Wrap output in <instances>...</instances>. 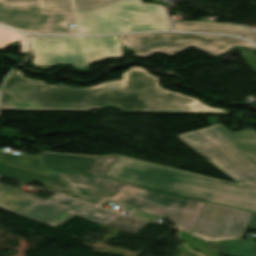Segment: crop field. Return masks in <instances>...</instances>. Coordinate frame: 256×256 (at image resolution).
<instances>
[{"instance_id": "crop-field-6", "label": "crop field", "mask_w": 256, "mask_h": 256, "mask_svg": "<svg viewBox=\"0 0 256 256\" xmlns=\"http://www.w3.org/2000/svg\"><path fill=\"white\" fill-rule=\"evenodd\" d=\"M164 5L118 0L92 11H76L80 34L171 30Z\"/></svg>"}, {"instance_id": "crop-field-14", "label": "crop field", "mask_w": 256, "mask_h": 256, "mask_svg": "<svg viewBox=\"0 0 256 256\" xmlns=\"http://www.w3.org/2000/svg\"><path fill=\"white\" fill-rule=\"evenodd\" d=\"M248 227L256 229V213H254ZM213 245L220 254L232 256H256V247L249 245L243 240L218 242L213 243Z\"/></svg>"}, {"instance_id": "crop-field-18", "label": "crop field", "mask_w": 256, "mask_h": 256, "mask_svg": "<svg viewBox=\"0 0 256 256\" xmlns=\"http://www.w3.org/2000/svg\"><path fill=\"white\" fill-rule=\"evenodd\" d=\"M116 0H75L76 10H91Z\"/></svg>"}, {"instance_id": "crop-field-10", "label": "crop field", "mask_w": 256, "mask_h": 256, "mask_svg": "<svg viewBox=\"0 0 256 256\" xmlns=\"http://www.w3.org/2000/svg\"><path fill=\"white\" fill-rule=\"evenodd\" d=\"M252 214L206 202L192 234L207 241L242 238Z\"/></svg>"}, {"instance_id": "crop-field-13", "label": "crop field", "mask_w": 256, "mask_h": 256, "mask_svg": "<svg viewBox=\"0 0 256 256\" xmlns=\"http://www.w3.org/2000/svg\"><path fill=\"white\" fill-rule=\"evenodd\" d=\"M175 27L177 31L210 32L233 35H241L251 32L250 29L243 26L228 25L223 23L175 22Z\"/></svg>"}, {"instance_id": "crop-field-19", "label": "crop field", "mask_w": 256, "mask_h": 256, "mask_svg": "<svg viewBox=\"0 0 256 256\" xmlns=\"http://www.w3.org/2000/svg\"><path fill=\"white\" fill-rule=\"evenodd\" d=\"M47 11L73 10L72 0H45Z\"/></svg>"}, {"instance_id": "crop-field-20", "label": "crop field", "mask_w": 256, "mask_h": 256, "mask_svg": "<svg viewBox=\"0 0 256 256\" xmlns=\"http://www.w3.org/2000/svg\"><path fill=\"white\" fill-rule=\"evenodd\" d=\"M50 201L56 202L58 204H61L63 206H71L72 204L76 203L78 200H74L65 196H61L56 194L55 196H53L52 198L48 199Z\"/></svg>"}, {"instance_id": "crop-field-16", "label": "crop field", "mask_w": 256, "mask_h": 256, "mask_svg": "<svg viewBox=\"0 0 256 256\" xmlns=\"http://www.w3.org/2000/svg\"><path fill=\"white\" fill-rule=\"evenodd\" d=\"M13 41H17L21 44V53L28 51L25 34L0 26V48L6 47L8 43Z\"/></svg>"}, {"instance_id": "crop-field-11", "label": "crop field", "mask_w": 256, "mask_h": 256, "mask_svg": "<svg viewBox=\"0 0 256 256\" xmlns=\"http://www.w3.org/2000/svg\"><path fill=\"white\" fill-rule=\"evenodd\" d=\"M39 159L37 155L22 157L0 151V175L27 184L38 182L48 190L74 197L56 171L40 167Z\"/></svg>"}, {"instance_id": "crop-field-15", "label": "crop field", "mask_w": 256, "mask_h": 256, "mask_svg": "<svg viewBox=\"0 0 256 256\" xmlns=\"http://www.w3.org/2000/svg\"><path fill=\"white\" fill-rule=\"evenodd\" d=\"M147 223L148 221L146 220L119 215L107 224H105V226L116 228L125 233H134L137 229L141 228Z\"/></svg>"}, {"instance_id": "crop-field-2", "label": "crop field", "mask_w": 256, "mask_h": 256, "mask_svg": "<svg viewBox=\"0 0 256 256\" xmlns=\"http://www.w3.org/2000/svg\"><path fill=\"white\" fill-rule=\"evenodd\" d=\"M58 175L79 199L98 206L109 199L168 218L190 233L205 203L113 179H101L72 172H58Z\"/></svg>"}, {"instance_id": "crop-field-8", "label": "crop field", "mask_w": 256, "mask_h": 256, "mask_svg": "<svg viewBox=\"0 0 256 256\" xmlns=\"http://www.w3.org/2000/svg\"><path fill=\"white\" fill-rule=\"evenodd\" d=\"M0 207L55 227L74 215L102 224L118 215L81 201L66 208L3 185H0Z\"/></svg>"}, {"instance_id": "crop-field-22", "label": "crop field", "mask_w": 256, "mask_h": 256, "mask_svg": "<svg viewBox=\"0 0 256 256\" xmlns=\"http://www.w3.org/2000/svg\"><path fill=\"white\" fill-rule=\"evenodd\" d=\"M244 38L250 40L251 42L256 44V33L248 36H244Z\"/></svg>"}, {"instance_id": "crop-field-1", "label": "crop field", "mask_w": 256, "mask_h": 256, "mask_svg": "<svg viewBox=\"0 0 256 256\" xmlns=\"http://www.w3.org/2000/svg\"><path fill=\"white\" fill-rule=\"evenodd\" d=\"M107 107L124 112L229 114L160 88L158 78L140 67L125 72L123 80L84 89L48 85L17 71L6 81L1 110L88 111Z\"/></svg>"}, {"instance_id": "crop-field-9", "label": "crop field", "mask_w": 256, "mask_h": 256, "mask_svg": "<svg viewBox=\"0 0 256 256\" xmlns=\"http://www.w3.org/2000/svg\"><path fill=\"white\" fill-rule=\"evenodd\" d=\"M0 23L30 33L76 34L73 11L46 12L44 0H0Z\"/></svg>"}, {"instance_id": "crop-field-7", "label": "crop field", "mask_w": 256, "mask_h": 256, "mask_svg": "<svg viewBox=\"0 0 256 256\" xmlns=\"http://www.w3.org/2000/svg\"><path fill=\"white\" fill-rule=\"evenodd\" d=\"M122 45L130 48L136 57H147L160 52L174 56L193 46L212 56L239 45L255 48L235 37L203 34L138 33L119 36Z\"/></svg>"}, {"instance_id": "crop-field-17", "label": "crop field", "mask_w": 256, "mask_h": 256, "mask_svg": "<svg viewBox=\"0 0 256 256\" xmlns=\"http://www.w3.org/2000/svg\"><path fill=\"white\" fill-rule=\"evenodd\" d=\"M118 156L98 158L88 174L103 177L108 172L110 167L113 165Z\"/></svg>"}, {"instance_id": "crop-field-5", "label": "crop field", "mask_w": 256, "mask_h": 256, "mask_svg": "<svg viewBox=\"0 0 256 256\" xmlns=\"http://www.w3.org/2000/svg\"><path fill=\"white\" fill-rule=\"evenodd\" d=\"M29 36L34 67L39 69H51L58 64H64L78 72H87L93 62L122 57L118 36Z\"/></svg>"}, {"instance_id": "crop-field-3", "label": "crop field", "mask_w": 256, "mask_h": 256, "mask_svg": "<svg viewBox=\"0 0 256 256\" xmlns=\"http://www.w3.org/2000/svg\"><path fill=\"white\" fill-rule=\"evenodd\" d=\"M107 177L256 212V190L121 156Z\"/></svg>"}, {"instance_id": "crop-field-4", "label": "crop field", "mask_w": 256, "mask_h": 256, "mask_svg": "<svg viewBox=\"0 0 256 256\" xmlns=\"http://www.w3.org/2000/svg\"><path fill=\"white\" fill-rule=\"evenodd\" d=\"M185 143L237 183L256 188V132L236 133L222 124L178 135Z\"/></svg>"}, {"instance_id": "crop-field-12", "label": "crop field", "mask_w": 256, "mask_h": 256, "mask_svg": "<svg viewBox=\"0 0 256 256\" xmlns=\"http://www.w3.org/2000/svg\"><path fill=\"white\" fill-rule=\"evenodd\" d=\"M42 164L46 167L87 173L96 157L72 156L41 153Z\"/></svg>"}, {"instance_id": "crop-field-21", "label": "crop field", "mask_w": 256, "mask_h": 256, "mask_svg": "<svg viewBox=\"0 0 256 256\" xmlns=\"http://www.w3.org/2000/svg\"><path fill=\"white\" fill-rule=\"evenodd\" d=\"M254 71H256V55L254 53L244 54Z\"/></svg>"}]
</instances>
